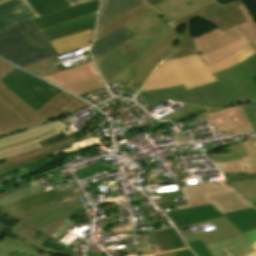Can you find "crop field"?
<instances>
[{
	"instance_id": "1",
	"label": "crop field",
	"mask_w": 256,
	"mask_h": 256,
	"mask_svg": "<svg viewBox=\"0 0 256 256\" xmlns=\"http://www.w3.org/2000/svg\"><path fill=\"white\" fill-rule=\"evenodd\" d=\"M254 54H256V49L249 44L238 52L209 66H206L197 55L161 63L154 70L145 86L143 85L141 92L180 85L188 90L218 82L213 74L224 71Z\"/></svg>"
},
{
	"instance_id": "2",
	"label": "crop field",
	"mask_w": 256,
	"mask_h": 256,
	"mask_svg": "<svg viewBox=\"0 0 256 256\" xmlns=\"http://www.w3.org/2000/svg\"><path fill=\"white\" fill-rule=\"evenodd\" d=\"M41 18L35 23L49 41L95 26L99 2L70 7L65 0H28Z\"/></svg>"
},
{
	"instance_id": "3",
	"label": "crop field",
	"mask_w": 256,
	"mask_h": 256,
	"mask_svg": "<svg viewBox=\"0 0 256 256\" xmlns=\"http://www.w3.org/2000/svg\"><path fill=\"white\" fill-rule=\"evenodd\" d=\"M140 94L144 96L150 104L144 107L147 111L169 99L174 102H181L184 105L182 107L186 109L183 110V108H181L159 119L189 118L202 110L212 111L237 105L220 82L188 91L181 86L173 89L143 92ZM211 106H213V108L209 109Z\"/></svg>"
},
{
	"instance_id": "4",
	"label": "crop field",
	"mask_w": 256,
	"mask_h": 256,
	"mask_svg": "<svg viewBox=\"0 0 256 256\" xmlns=\"http://www.w3.org/2000/svg\"><path fill=\"white\" fill-rule=\"evenodd\" d=\"M53 56L57 53L33 20L0 31V57L18 66Z\"/></svg>"
},
{
	"instance_id": "5",
	"label": "crop field",
	"mask_w": 256,
	"mask_h": 256,
	"mask_svg": "<svg viewBox=\"0 0 256 256\" xmlns=\"http://www.w3.org/2000/svg\"><path fill=\"white\" fill-rule=\"evenodd\" d=\"M242 0H234L222 5L219 0L175 21L174 28L177 29L183 25H187L182 38L180 39L175 51L165 60L174 59L190 54H195L192 41V33L190 22L196 18H201L221 30H226L238 23L245 22L244 17L239 11L237 5L242 4ZM215 11V12H213ZM164 60V61H165Z\"/></svg>"
},
{
	"instance_id": "6",
	"label": "crop field",
	"mask_w": 256,
	"mask_h": 256,
	"mask_svg": "<svg viewBox=\"0 0 256 256\" xmlns=\"http://www.w3.org/2000/svg\"><path fill=\"white\" fill-rule=\"evenodd\" d=\"M13 68L0 61V80ZM46 121L0 81V136Z\"/></svg>"
},
{
	"instance_id": "7",
	"label": "crop field",
	"mask_w": 256,
	"mask_h": 256,
	"mask_svg": "<svg viewBox=\"0 0 256 256\" xmlns=\"http://www.w3.org/2000/svg\"><path fill=\"white\" fill-rule=\"evenodd\" d=\"M188 205L177 207L178 210L212 203L220 213L241 210L251 206L244 198L226 183L199 184L180 187Z\"/></svg>"
},
{
	"instance_id": "8",
	"label": "crop field",
	"mask_w": 256,
	"mask_h": 256,
	"mask_svg": "<svg viewBox=\"0 0 256 256\" xmlns=\"http://www.w3.org/2000/svg\"><path fill=\"white\" fill-rule=\"evenodd\" d=\"M179 34L171 31L160 42L112 78L106 85L120 82L131 89H140L153 68L174 48Z\"/></svg>"
},
{
	"instance_id": "9",
	"label": "crop field",
	"mask_w": 256,
	"mask_h": 256,
	"mask_svg": "<svg viewBox=\"0 0 256 256\" xmlns=\"http://www.w3.org/2000/svg\"><path fill=\"white\" fill-rule=\"evenodd\" d=\"M47 239L48 237L16 222L0 238V256H52L53 254L69 256L70 253L43 246Z\"/></svg>"
},
{
	"instance_id": "10",
	"label": "crop field",
	"mask_w": 256,
	"mask_h": 256,
	"mask_svg": "<svg viewBox=\"0 0 256 256\" xmlns=\"http://www.w3.org/2000/svg\"><path fill=\"white\" fill-rule=\"evenodd\" d=\"M60 122H52L0 139V160L38 149L62 136L59 129L66 128Z\"/></svg>"
},
{
	"instance_id": "11",
	"label": "crop field",
	"mask_w": 256,
	"mask_h": 256,
	"mask_svg": "<svg viewBox=\"0 0 256 256\" xmlns=\"http://www.w3.org/2000/svg\"><path fill=\"white\" fill-rule=\"evenodd\" d=\"M176 228L225 216L240 232L256 228V210L249 208L221 215L212 205L199 206L165 213Z\"/></svg>"
},
{
	"instance_id": "12",
	"label": "crop field",
	"mask_w": 256,
	"mask_h": 256,
	"mask_svg": "<svg viewBox=\"0 0 256 256\" xmlns=\"http://www.w3.org/2000/svg\"><path fill=\"white\" fill-rule=\"evenodd\" d=\"M87 147L88 146L82 133L69 137L65 136L38 150L4 159L6 162L0 163V176L29 166L49 157L79 151Z\"/></svg>"
},
{
	"instance_id": "13",
	"label": "crop field",
	"mask_w": 256,
	"mask_h": 256,
	"mask_svg": "<svg viewBox=\"0 0 256 256\" xmlns=\"http://www.w3.org/2000/svg\"><path fill=\"white\" fill-rule=\"evenodd\" d=\"M1 81L35 111L61 91L16 68Z\"/></svg>"
},
{
	"instance_id": "14",
	"label": "crop field",
	"mask_w": 256,
	"mask_h": 256,
	"mask_svg": "<svg viewBox=\"0 0 256 256\" xmlns=\"http://www.w3.org/2000/svg\"><path fill=\"white\" fill-rule=\"evenodd\" d=\"M239 8L247 22L238 24L225 32L215 28L202 35L193 37L198 55H205L244 35L256 45V22L244 4L240 5Z\"/></svg>"
},
{
	"instance_id": "15",
	"label": "crop field",
	"mask_w": 256,
	"mask_h": 256,
	"mask_svg": "<svg viewBox=\"0 0 256 256\" xmlns=\"http://www.w3.org/2000/svg\"><path fill=\"white\" fill-rule=\"evenodd\" d=\"M215 76L236 102L256 98V55Z\"/></svg>"
},
{
	"instance_id": "16",
	"label": "crop field",
	"mask_w": 256,
	"mask_h": 256,
	"mask_svg": "<svg viewBox=\"0 0 256 256\" xmlns=\"http://www.w3.org/2000/svg\"><path fill=\"white\" fill-rule=\"evenodd\" d=\"M79 209L81 208L78 202L73 199L43 209H37L19 222L44 234L51 224L65 216L72 215V211Z\"/></svg>"
},
{
	"instance_id": "17",
	"label": "crop field",
	"mask_w": 256,
	"mask_h": 256,
	"mask_svg": "<svg viewBox=\"0 0 256 256\" xmlns=\"http://www.w3.org/2000/svg\"><path fill=\"white\" fill-rule=\"evenodd\" d=\"M137 58L130 41H127L94 61L106 83Z\"/></svg>"
},
{
	"instance_id": "18",
	"label": "crop field",
	"mask_w": 256,
	"mask_h": 256,
	"mask_svg": "<svg viewBox=\"0 0 256 256\" xmlns=\"http://www.w3.org/2000/svg\"><path fill=\"white\" fill-rule=\"evenodd\" d=\"M207 118L210 124L216 125L217 132L226 130L228 135L253 130L241 105L208 112Z\"/></svg>"
},
{
	"instance_id": "19",
	"label": "crop field",
	"mask_w": 256,
	"mask_h": 256,
	"mask_svg": "<svg viewBox=\"0 0 256 256\" xmlns=\"http://www.w3.org/2000/svg\"><path fill=\"white\" fill-rule=\"evenodd\" d=\"M38 17L27 0H9L0 4V30Z\"/></svg>"
},
{
	"instance_id": "20",
	"label": "crop field",
	"mask_w": 256,
	"mask_h": 256,
	"mask_svg": "<svg viewBox=\"0 0 256 256\" xmlns=\"http://www.w3.org/2000/svg\"><path fill=\"white\" fill-rule=\"evenodd\" d=\"M82 193V190H76L71 192L70 189L57 192L55 193L54 190L44 192L35 196H31L28 198H24L22 200H19L15 203L9 204L5 207H2V211L12 217L17 218L22 213L26 212L27 210L41 204H45L48 202L56 201L64 197L73 196Z\"/></svg>"
},
{
	"instance_id": "21",
	"label": "crop field",
	"mask_w": 256,
	"mask_h": 256,
	"mask_svg": "<svg viewBox=\"0 0 256 256\" xmlns=\"http://www.w3.org/2000/svg\"><path fill=\"white\" fill-rule=\"evenodd\" d=\"M87 106L89 105L62 91L36 112L47 120H54Z\"/></svg>"
},
{
	"instance_id": "22",
	"label": "crop field",
	"mask_w": 256,
	"mask_h": 256,
	"mask_svg": "<svg viewBox=\"0 0 256 256\" xmlns=\"http://www.w3.org/2000/svg\"><path fill=\"white\" fill-rule=\"evenodd\" d=\"M207 223L209 224L213 223L216 229L205 231V232L201 231L195 234H190V232L183 233L181 235L182 238L185 240L186 243L201 239L203 244H205V243L213 242L226 237H230L236 234H240V232L225 217L187 226V227L199 226ZM183 228H186V227H183ZM183 228H179V229H183Z\"/></svg>"
},
{
	"instance_id": "23",
	"label": "crop field",
	"mask_w": 256,
	"mask_h": 256,
	"mask_svg": "<svg viewBox=\"0 0 256 256\" xmlns=\"http://www.w3.org/2000/svg\"><path fill=\"white\" fill-rule=\"evenodd\" d=\"M210 1L212 0H164L153 5V7L170 23Z\"/></svg>"
},
{
	"instance_id": "24",
	"label": "crop field",
	"mask_w": 256,
	"mask_h": 256,
	"mask_svg": "<svg viewBox=\"0 0 256 256\" xmlns=\"http://www.w3.org/2000/svg\"><path fill=\"white\" fill-rule=\"evenodd\" d=\"M93 61L70 68L64 72L43 77L44 79L61 87L81 82L83 80L98 76Z\"/></svg>"
},
{
	"instance_id": "25",
	"label": "crop field",
	"mask_w": 256,
	"mask_h": 256,
	"mask_svg": "<svg viewBox=\"0 0 256 256\" xmlns=\"http://www.w3.org/2000/svg\"><path fill=\"white\" fill-rule=\"evenodd\" d=\"M171 30L172 27L169 26L167 22L164 24L160 22L130 40L138 56H141L143 52H145L147 49H149L151 46H153L155 43L165 37Z\"/></svg>"
},
{
	"instance_id": "26",
	"label": "crop field",
	"mask_w": 256,
	"mask_h": 256,
	"mask_svg": "<svg viewBox=\"0 0 256 256\" xmlns=\"http://www.w3.org/2000/svg\"><path fill=\"white\" fill-rule=\"evenodd\" d=\"M142 2V0H102L97 29Z\"/></svg>"
},
{
	"instance_id": "27",
	"label": "crop field",
	"mask_w": 256,
	"mask_h": 256,
	"mask_svg": "<svg viewBox=\"0 0 256 256\" xmlns=\"http://www.w3.org/2000/svg\"><path fill=\"white\" fill-rule=\"evenodd\" d=\"M134 36L136 35L127 30L125 27H120L113 33L93 43L91 48L93 59L111 50L112 48L120 45L121 43L129 40Z\"/></svg>"
},
{
	"instance_id": "28",
	"label": "crop field",
	"mask_w": 256,
	"mask_h": 256,
	"mask_svg": "<svg viewBox=\"0 0 256 256\" xmlns=\"http://www.w3.org/2000/svg\"><path fill=\"white\" fill-rule=\"evenodd\" d=\"M93 31L94 28L81 33L67 36L59 40L51 41V44L55 48L58 55H60L62 53H66L89 45Z\"/></svg>"
},
{
	"instance_id": "29",
	"label": "crop field",
	"mask_w": 256,
	"mask_h": 256,
	"mask_svg": "<svg viewBox=\"0 0 256 256\" xmlns=\"http://www.w3.org/2000/svg\"><path fill=\"white\" fill-rule=\"evenodd\" d=\"M150 9L152 8H150L145 2L136 6L135 8L131 9L130 11L126 12L125 14L121 15L120 17L116 18L115 20L111 21L110 23L98 29L95 33L94 41L113 32L123 24L142 15L143 13L147 12Z\"/></svg>"
},
{
	"instance_id": "30",
	"label": "crop field",
	"mask_w": 256,
	"mask_h": 256,
	"mask_svg": "<svg viewBox=\"0 0 256 256\" xmlns=\"http://www.w3.org/2000/svg\"><path fill=\"white\" fill-rule=\"evenodd\" d=\"M224 178L252 204L256 203V174L225 176Z\"/></svg>"
},
{
	"instance_id": "31",
	"label": "crop field",
	"mask_w": 256,
	"mask_h": 256,
	"mask_svg": "<svg viewBox=\"0 0 256 256\" xmlns=\"http://www.w3.org/2000/svg\"><path fill=\"white\" fill-rule=\"evenodd\" d=\"M162 20L164 19L152 9L123 26L137 35Z\"/></svg>"
},
{
	"instance_id": "32",
	"label": "crop field",
	"mask_w": 256,
	"mask_h": 256,
	"mask_svg": "<svg viewBox=\"0 0 256 256\" xmlns=\"http://www.w3.org/2000/svg\"><path fill=\"white\" fill-rule=\"evenodd\" d=\"M248 43H251V42L244 36V37H242V38H240V39H238V40H236V41H234V42H232L214 52H211L201 58L207 65H209V64L215 63V62L221 60L222 58H224L225 56L241 49ZM253 46L256 47L255 45H253Z\"/></svg>"
},
{
	"instance_id": "33",
	"label": "crop field",
	"mask_w": 256,
	"mask_h": 256,
	"mask_svg": "<svg viewBox=\"0 0 256 256\" xmlns=\"http://www.w3.org/2000/svg\"><path fill=\"white\" fill-rule=\"evenodd\" d=\"M23 68L41 77L65 70L60 65V63L55 59V57L23 67Z\"/></svg>"
},
{
	"instance_id": "34",
	"label": "crop field",
	"mask_w": 256,
	"mask_h": 256,
	"mask_svg": "<svg viewBox=\"0 0 256 256\" xmlns=\"http://www.w3.org/2000/svg\"><path fill=\"white\" fill-rule=\"evenodd\" d=\"M227 256H246L256 251L254 246L247 238L221 246Z\"/></svg>"
},
{
	"instance_id": "35",
	"label": "crop field",
	"mask_w": 256,
	"mask_h": 256,
	"mask_svg": "<svg viewBox=\"0 0 256 256\" xmlns=\"http://www.w3.org/2000/svg\"><path fill=\"white\" fill-rule=\"evenodd\" d=\"M104 86L105 85H104L101 77L98 76V77L83 81V82L75 84V85L64 87V88L77 94V95H80V94H83L86 92L100 89Z\"/></svg>"
},
{
	"instance_id": "36",
	"label": "crop field",
	"mask_w": 256,
	"mask_h": 256,
	"mask_svg": "<svg viewBox=\"0 0 256 256\" xmlns=\"http://www.w3.org/2000/svg\"><path fill=\"white\" fill-rule=\"evenodd\" d=\"M176 256H194L173 227L165 228Z\"/></svg>"
},
{
	"instance_id": "37",
	"label": "crop field",
	"mask_w": 256,
	"mask_h": 256,
	"mask_svg": "<svg viewBox=\"0 0 256 256\" xmlns=\"http://www.w3.org/2000/svg\"><path fill=\"white\" fill-rule=\"evenodd\" d=\"M222 172H241L256 173V163L243 165L242 161L219 162L216 163Z\"/></svg>"
},
{
	"instance_id": "38",
	"label": "crop field",
	"mask_w": 256,
	"mask_h": 256,
	"mask_svg": "<svg viewBox=\"0 0 256 256\" xmlns=\"http://www.w3.org/2000/svg\"><path fill=\"white\" fill-rule=\"evenodd\" d=\"M48 189L44 190L41 185L30 187L21 191H18L16 193L10 194L6 197H4L2 200H0V207L5 206L9 203H12L14 201H17L19 199H22L27 196L35 195L44 191H47Z\"/></svg>"
},
{
	"instance_id": "39",
	"label": "crop field",
	"mask_w": 256,
	"mask_h": 256,
	"mask_svg": "<svg viewBox=\"0 0 256 256\" xmlns=\"http://www.w3.org/2000/svg\"><path fill=\"white\" fill-rule=\"evenodd\" d=\"M231 152L208 155L214 162L241 160L240 156H247L242 145L229 146Z\"/></svg>"
},
{
	"instance_id": "40",
	"label": "crop field",
	"mask_w": 256,
	"mask_h": 256,
	"mask_svg": "<svg viewBox=\"0 0 256 256\" xmlns=\"http://www.w3.org/2000/svg\"><path fill=\"white\" fill-rule=\"evenodd\" d=\"M154 235L159 243L160 250H161V256H174L172 247L170 245V242L166 236V233L164 229H159L153 231Z\"/></svg>"
},
{
	"instance_id": "41",
	"label": "crop field",
	"mask_w": 256,
	"mask_h": 256,
	"mask_svg": "<svg viewBox=\"0 0 256 256\" xmlns=\"http://www.w3.org/2000/svg\"><path fill=\"white\" fill-rule=\"evenodd\" d=\"M242 238H245V236L243 234L233 236V237H230V238H226V239H223V240H220V241H216V242H213V243H210V244H206L205 246L211 252V254L213 256H226L224 254V252L219 248V246L230 243V242H233V241H236V240H239V239H242Z\"/></svg>"
},
{
	"instance_id": "42",
	"label": "crop field",
	"mask_w": 256,
	"mask_h": 256,
	"mask_svg": "<svg viewBox=\"0 0 256 256\" xmlns=\"http://www.w3.org/2000/svg\"><path fill=\"white\" fill-rule=\"evenodd\" d=\"M245 110V113L253 127L256 130V99L239 102Z\"/></svg>"
},
{
	"instance_id": "43",
	"label": "crop field",
	"mask_w": 256,
	"mask_h": 256,
	"mask_svg": "<svg viewBox=\"0 0 256 256\" xmlns=\"http://www.w3.org/2000/svg\"><path fill=\"white\" fill-rule=\"evenodd\" d=\"M26 187H30V184L28 183V181L9 184V185L0 187V199L4 196L8 195L11 192H14L19 189L26 188ZM1 215H4V213L0 210V216Z\"/></svg>"
},
{
	"instance_id": "44",
	"label": "crop field",
	"mask_w": 256,
	"mask_h": 256,
	"mask_svg": "<svg viewBox=\"0 0 256 256\" xmlns=\"http://www.w3.org/2000/svg\"><path fill=\"white\" fill-rule=\"evenodd\" d=\"M248 157H241L244 164L256 162V142L242 144Z\"/></svg>"
},
{
	"instance_id": "45",
	"label": "crop field",
	"mask_w": 256,
	"mask_h": 256,
	"mask_svg": "<svg viewBox=\"0 0 256 256\" xmlns=\"http://www.w3.org/2000/svg\"><path fill=\"white\" fill-rule=\"evenodd\" d=\"M188 245L198 256H212L210 252L202 244L201 240L188 243Z\"/></svg>"
},
{
	"instance_id": "46",
	"label": "crop field",
	"mask_w": 256,
	"mask_h": 256,
	"mask_svg": "<svg viewBox=\"0 0 256 256\" xmlns=\"http://www.w3.org/2000/svg\"><path fill=\"white\" fill-rule=\"evenodd\" d=\"M138 242L141 248V253L154 251L148 239L140 240Z\"/></svg>"
},
{
	"instance_id": "47",
	"label": "crop field",
	"mask_w": 256,
	"mask_h": 256,
	"mask_svg": "<svg viewBox=\"0 0 256 256\" xmlns=\"http://www.w3.org/2000/svg\"><path fill=\"white\" fill-rule=\"evenodd\" d=\"M185 204H187L186 201L182 200V201H176V202H171V203H161V204H157V206L160 208H168V207L180 206V205H185Z\"/></svg>"
},
{
	"instance_id": "48",
	"label": "crop field",
	"mask_w": 256,
	"mask_h": 256,
	"mask_svg": "<svg viewBox=\"0 0 256 256\" xmlns=\"http://www.w3.org/2000/svg\"><path fill=\"white\" fill-rule=\"evenodd\" d=\"M244 235L252 242H256V229L244 233Z\"/></svg>"
},
{
	"instance_id": "49",
	"label": "crop field",
	"mask_w": 256,
	"mask_h": 256,
	"mask_svg": "<svg viewBox=\"0 0 256 256\" xmlns=\"http://www.w3.org/2000/svg\"><path fill=\"white\" fill-rule=\"evenodd\" d=\"M66 1L69 3L70 6H73V5L90 2V1H94V0H66Z\"/></svg>"
},
{
	"instance_id": "50",
	"label": "crop field",
	"mask_w": 256,
	"mask_h": 256,
	"mask_svg": "<svg viewBox=\"0 0 256 256\" xmlns=\"http://www.w3.org/2000/svg\"><path fill=\"white\" fill-rule=\"evenodd\" d=\"M144 234H147V236H148V238H149V240H150V242H151L152 245L157 244L156 239H155V237H154V235H153L152 232H150V233H144ZM144 234H139V235H144ZM139 235H137V236H139Z\"/></svg>"
},
{
	"instance_id": "51",
	"label": "crop field",
	"mask_w": 256,
	"mask_h": 256,
	"mask_svg": "<svg viewBox=\"0 0 256 256\" xmlns=\"http://www.w3.org/2000/svg\"><path fill=\"white\" fill-rule=\"evenodd\" d=\"M119 200H124L123 196H120V197H117V198H114V199L103 200L101 202V204H105V203H109V202H114V201H119Z\"/></svg>"
},
{
	"instance_id": "52",
	"label": "crop field",
	"mask_w": 256,
	"mask_h": 256,
	"mask_svg": "<svg viewBox=\"0 0 256 256\" xmlns=\"http://www.w3.org/2000/svg\"><path fill=\"white\" fill-rule=\"evenodd\" d=\"M41 179H43V177L32 179V180H29V183L31 184V186L37 185V184H40L39 180H41Z\"/></svg>"
},
{
	"instance_id": "53",
	"label": "crop field",
	"mask_w": 256,
	"mask_h": 256,
	"mask_svg": "<svg viewBox=\"0 0 256 256\" xmlns=\"http://www.w3.org/2000/svg\"><path fill=\"white\" fill-rule=\"evenodd\" d=\"M8 229H9V227H7L6 225L0 223V232L1 233H5Z\"/></svg>"
},
{
	"instance_id": "54",
	"label": "crop field",
	"mask_w": 256,
	"mask_h": 256,
	"mask_svg": "<svg viewBox=\"0 0 256 256\" xmlns=\"http://www.w3.org/2000/svg\"><path fill=\"white\" fill-rule=\"evenodd\" d=\"M153 248H154L155 253H156V255H154V256H160V251H159L158 245L153 246Z\"/></svg>"
},
{
	"instance_id": "55",
	"label": "crop field",
	"mask_w": 256,
	"mask_h": 256,
	"mask_svg": "<svg viewBox=\"0 0 256 256\" xmlns=\"http://www.w3.org/2000/svg\"><path fill=\"white\" fill-rule=\"evenodd\" d=\"M145 1H147L149 4L153 5L161 0H145Z\"/></svg>"
},
{
	"instance_id": "56",
	"label": "crop field",
	"mask_w": 256,
	"mask_h": 256,
	"mask_svg": "<svg viewBox=\"0 0 256 256\" xmlns=\"http://www.w3.org/2000/svg\"><path fill=\"white\" fill-rule=\"evenodd\" d=\"M249 256H256V252H255V253H253V254H251V255H249Z\"/></svg>"
},
{
	"instance_id": "57",
	"label": "crop field",
	"mask_w": 256,
	"mask_h": 256,
	"mask_svg": "<svg viewBox=\"0 0 256 256\" xmlns=\"http://www.w3.org/2000/svg\"><path fill=\"white\" fill-rule=\"evenodd\" d=\"M3 1H6V0H0V2H3Z\"/></svg>"
},
{
	"instance_id": "58",
	"label": "crop field",
	"mask_w": 256,
	"mask_h": 256,
	"mask_svg": "<svg viewBox=\"0 0 256 256\" xmlns=\"http://www.w3.org/2000/svg\"><path fill=\"white\" fill-rule=\"evenodd\" d=\"M4 234H0V237H2Z\"/></svg>"
},
{
	"instance_id": "59",
	"label": "crop field",
	"mask_w": 256,
	"mask_h": 256,
	"mask_svg": "<svg viewBox=\"0 0 256 256\" xmlns=\"http://www.w3.org/2000/svg\"><path fill=\"white\" fill-rule=\"evenodd\" d=\"M254 206H256V204H254Z\"/></svg>"
},
{
	"instance_id": "60",
	"label": "crop field",
	"mask_w": 256,
	"mask_h": 256,
	"mask_svg": "<svg viewBox=\"0 0 256 256\" xmlns=\"http://www.w3.org/2000/svg\"><path fill=\"white\" fill-rule=\"evenodd\" d=\"M256 245V243H254Z\"/></svg>"
},
{
	"instance_id": "61",
	"label": "crop field",
	"mask_w": 256,
	"mask_h": 256,
	"mask_svg": "<svg viewBox=\"0 0 256 256\" xmlns=\"http://www.w3.org/2000/svg\"><path fill=\"white\" fill-rule=\"evenodd\" d=\"M135 256H137V255H135Z\"/></svg>"
}]
</instances>
